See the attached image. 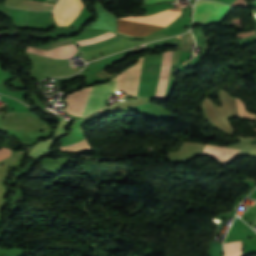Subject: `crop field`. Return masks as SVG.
Wrapping results in <instances>:
<instances>
[{"instance_id":"crop-field-9","label":"crop field","mask_w":256,"mask_h":256,"mask_svg":"<svg viewBox=\"0 0 256 256\" xmlns=\"http://www.w3.org/2000/svg\"><path fill=\"white\" fill-rule=\"evenodd\" d=\"M177 45L180 47V51H188L191 52V49H188L189 45H194L192 37L190 33H186L181 36L176 37Z\"/></svg>"},{"instance_id":"crop-field-13","label":"crop field","mask_w":256,"mask_h":256,"mask_svg":"<svg viewBox=\"0 0 256 256\" xmlns=\"http://www.w3.org/2000/svg\"><path fill=\"white\" fill-rule=\"evenodd\" d=\"M193 32H194V35H195L196 42L199 43L198 38H197V35H196L194 29H193ZM198 37H204V36H198ZM204 40H205V39H200V43H204Z\"/></svg>"},{"instance_id":"crop-field-6","label":"crop field","mask_w":256,"mask_h":256,"mask_svg":"<svg viewBox=\"0 0 256 256\" xmlns=\"http://www.w3.org/2000/svg\"><path fill=\"white\" fill-rule=\"evenodd\" d=\"M171 51L164 52L161 60L160 76L155 98H163L168 78Z\"/></svg>"},{"instance_id":"crop-field-12","label":"crop field","mask_w":256,"mask_h":256,"mask_svg":"<svg viewBox=\"0 0 256 256\" xmlns=\"http://www.w3.org/2000/svg\"><path fill=\"white\" fill-rule=\"evenodd\" d=\"M162 1H169V0H143V3H155V2H162Z\"/></svg>"},{"instance_id":"crop-field-11","label":"crop field","mask_w":256,"mask_h":256,"mask_svg":"<svg viewBox=\"0 0 256 256\" xmlns=\"http://www.w3.org/2000/svg\"><path fill=\"white\" fill-rule=\"evenodd\" d=\"M236 103H237L238 116H245V117H249L254 120L256 119V115H253V114L247 112L244 104L241 103V100L236 98Z\"/></svg>"},{"instance_id":"crop-field-5","label":"crop field","mask_w":256,"mask_h":256,"mask_svg":"<svg viewBox=\"0 0 256 256\" xmlns=\"http://www.w3.org/2000/svg\"><path fill=\"white\" fill-rule=\"evenodd\" d=\"M27 51L53 58H71L78 52L75 44L58 47L49 51L28 47Z\"/></svg>"},{"instance_id":"crop-field-4","label":"crop field","mask_w":256,"mask_h":256,"mask_svg":"<svg viewBox=\"0 0 256 256\" xmlns=\"http://www.w3.org/2000/svg\"><path fill=\"white\" fill-rule=\"evenodd\" d=\"M118 32L133 36H146L164 27L117 19Z\"/></svg>"},{"instance_id":"crop-field-2","label":"crop field","mask_w":256,"mask_h":256,"mask_svg":"<svg viewBox=\"0 0 256 256\" xmlns=\"http://www.w3.org/2000/svg\"><path fill=\"white\" fill-rule=\"evenodd\" d=\"M82 8L81 0H60L52 14L58 26H68Z\"/></svg>"},{"instance_id":"crop-field-7","label":"crop field","mask_w":256,"mask_h":256,"mask_svg":"<svg viewBox=\"0 0 256 256\" xmlns=\"http://www.w3.org/2000/svg\"><path fill=\"white\" fill-rule=\"evenodd\" d=\"M240 150L207 145L203 154L228 163Z\"/></svg>"},{"instance_id":"crop-field-3","label":"crop field","mask_w":256,"mask_h":256,"mask_svg":"<svg viewBox=\"0 0 256 256\" xmlns=\"http://www.w3.org/2000/svg\"><path fill=\"white\" fill-rule=\"evenodd\" d=\"M116 81L117 77L108 84L93 87L81 116H87L103 108L105 98L115 90Z\"/></svg>"},{"instance_id":"crop-field-10","label":"crop field","mask_w":256,"mask_h":256,"mask_svg":"<svg viewBox=\"0 0 256 256\" xmlns=\"http://www.w3.org/2000/svg\"><path fill=\"white\" fill-rule=\"evenodd\" d=\"M113 36H115L114 33L107 32V33H104V34L99 35V36H97L95 38H92V39H88V40H84V41H78V43H79V45L91 44V43H95V42H99V41L108 39V38L113 37Z\"/></svg>"},{"instance_id":"crop-field-8","label":"crop field","mask_w":256,"mask_h":256,"mask_svg":"<svg viewBox=\"0 0 256 256\" xmlns=\"http://www.w3.org/2000/svg\"><path fill=\"white\" fill-rule=\"evenodd\" d=\"M66 125H67V121L65 119H62L59 127L57 128L56 136L53 139H51V140H46V141H43V142L39 143L37 146H35V148L30 152L29 155L33 156V157H36V158H40L43 155H45V153L49 149L50 145L57 138H59L61 135H63L65 133Z\"/></svg>"},{"instance_id":"crop-field-1","label":"crop field","mask_w":256,"mask_h":256,"mask_svg":"<svg viewBox=\"0 0 256 256\" xmlns=\"http://www.w3.org/2000/svg\"><path fill=\"white\" fill-rule=\"evenodd\" d=\"M228 8V6L218 2L198 0L194 9V23L205 24L209 21L220 20Z\"/></svg>"}]
</instances>
